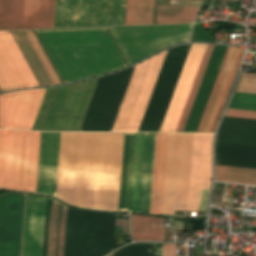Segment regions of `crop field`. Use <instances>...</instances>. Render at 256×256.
I'll use <instances>...</instances> for the list:
<instances>
[{"label":"crop field","mask_w":256,"mask_h":256,"mask_svg":"<svg viewBox=\"0 0 256 256\" xmlns=\"http://www.w3.org/2000/svg\"><path fill=\"white\" fill-rule=\"evenodd\" d=\"M125 0H56L54 28L123 25Z\"/></svg>","instance_id":"crop-field-7"},{"label":"crop field","mask_w":256,"mask_h":256,"mask_svg":"<svg viewBox=\"0 0 256 256\" xmlns=\"http://www.w3.org/2000/svg\"><path fill=\"white\" fill-rule=\"evenodd\" d=\"M213 134H168L162 216L176 210L199 212L204 180L211 181ZM205 181L200 212L206 213L210 183Z\"/></svg>","instance_id":"crop-field-3"},{"label":"crop field","mask_w":256,"mask_h":256,"mask_svg":"<svg viewBox=\"0 0 256 256\" xmlns=\"http://www.w3.org/2000/svg\"><path fill=\"white\" fill-rule=\"evenodd\" d=\"M216 141L256 145V120L224 117Z\"/></svg>","instance_id":"crop-field-18"},{"label":"crop field","mask_w":256,"mask_h":256,"mask_svg":"<svg viewBox=\"0 0 256 256\" xmlns=\"http://www.w3.org/2000/svg\"><path fill=\"white\" fill-rule=\"evenodd\" d=\"M155 134H145L139 212L149 213Z\"/></svg>","instance_id":"crop-field-20"},{"label":"crop field","mask_w":256,"mask_h":256,"mask_svg":"<svg viewBox=\"0 0 256 256\" xmlns=\"http://www.w3.org/2000/svg\"><path fill=\"white\" fill-rule=\"evenodd\" d=\"M216 181L256 185V170L216 166Z\"/></svg>","instance_id":"crop-field-26"},{"label":"crop field","mask_w":256,"mask_h":256,"mask_svg":"<svg viewBox=\"0 0 256 256\" xmlns=\"http://www.w3.org/2000/svg\"><path fill=\"white\" fill-rule=\"evenodd\" d=\"M229 108L256 111V95L236 93Z\"/></svg>","instance_id":"crop-field-28"},{"label":"crop field","mask_w":256,"mask_h":256,"mask_svg":"<svg viewBox=\"0 0 256 256\" xmlns=\"http://www.w3.org/2000/svg\"><path fill=\"white\" fill-rule=\"evenodd\" d=\"M228 46L215 45L183 132H196ZM243 49L229 46L197 132H214Z\"/></svg>","instance_id":"crop-field-4"},{"label":"crop field","mask_w":256,"mask_h":256,"mask_svg":"<svg viewBox=\"0 0 256 256\" xmlns=\"http://www.w3.org/2000/svg\"><path fill=\"white\" fill-rule=\"evenodd\" d=\"M134 0H127L125 25H132Z\"/></svg>","instance_id":"crop-field-32"},{"label":"crop field","mask_w":256,"mask_h":256,"mask_svg":"<svg viewBox=\"0 0 256 256\" xmlns=\"http://www.w3.org/2000/svg\"><path fill=\"white\" fill-rule=\"evenodd\" d=\"M224 116L256 119V112L229 109Z\"/></svg>","instance_id":"crop-field-31"},{"label":"crop field","mask_w":256,"mask_h":256,"mask_svg":"<svg viewBox=\"0 0 256 256\" xmlns=\"http://www.w3.org/2000/svg\"><path fill=\"white\" fill-rule=\"evenodd\" d=\"M236 92L256 94V78L242 77Z\"/></svg>","instance_id":"crop-field-29"},{"label":"crop field","mask_w":256,"mask_h":256,"mask_svg":"<svg viewBox=\"0 0 256 256\" xmlns=\"http://www.w3.org/2000/svg\"><path fill=\"white\" fill-rule=\"evenodd\" d=\"M97 80L47 89L32 130L79 131Z\"/></svg>","instance_id":"crop-field-6"},{"label":"crop field","mask_w":256,"mask_h":256,"mask_svg":"<svg viewBox=\"0 0 256 256\" xmlns=\"http://www.w3.org/2000/svg\"><path fill=\"white\" fill-rule=\"evenodd\" d=\"M22 0H0V30L19 29ZM55 0H23L20 29L53 28Z\"/></svg>","instance_id":"crop-field-10"},{"label":"crop field","mask_w":256,"mask_h":256,"mask_svg":"<svg viewBox=\"0 0 256 256\" xmlns=\"http://www.w3.org/2000/svg\"><path fill=\"white\" fill-rule=\"evenodd\" d=\"M161 256H176V244L162 245Z\"/></svg>","instance_id":"crop-field-33"},{"label":"crop field","mask_w":256,"mask_h":256,"mask_svg":"<svg viewBox=\"0 0 256 256\" xmlns=\"http://www.w3.org/2000/svg\"><path fill=\"white\" fill-rule=\"evenodd\" d=\"M160 253H161V243H157L156 256H160Z\"/></svg>","instance_id":"crop-field-35"},{"label":"crop field","mask_w":256,"mask_h":256,"mask_svg":"<svg viewBox=\"0 0 256 256\" xmlns=\"http://www.w3.org/2000/svg\"><path fill=\"white\" fill-rule=\"evenodd\" d=\"M46 89L0 95V127L31 130Z\"/></svg>","instance_id":"crop-field-11"},{"label":"crop field","mask_w":256,"mask_h":256,"mask_svg":"<svg viewBox=\"0 0 256 256\" xmlns=\"http://www.w3.org/2000/svg\"><path fill=\"white\" fill-rule=\"evenodd\" d=\"M199 6H157L156 24L193 22Z\"/></svg>","instance_id":"crop-field-24"},{"label":"crop field","mask_w":256,"mask_h":256,"mask_svg":"<svg viewBox=\"0 0 256 256\" xmlns=\"http://www.w3.org/2000/svg\"><path fill=\"white\" fill-rule=\"evenodd\" d=\"M46 198L27 195L22 256H42Z\"/></svg>","instance_id":"crop-field-16"},{"label":"crop field","mask_w":256,"mask_h":256,"mask_svg":"<svg viewBox=\"0 0 256 256\" xmlns=\"http://www.w3.org/2000/svg\"><path fill=\"white\" fill-rule=\"evenodd\" d=\"M40 132L0 130V188L35 192Z\"/></svg>","instance_id":"crop-field-5"},{"label":"crop field","mask_w":256,"mask_h":256,"mask_svg":"<svg viewBox=\"0 0 256 256\" xmlns=\"http://www.w3.org/2000/svg\"><path fill=\"white\" fill-rule=\"evenodd\" d=\"M166 51L136 65L112 131L138 130Z\"/></svg>","instance_id":"crop-field-8"},{"label":"crop field","mask_w":256,"mask_h":256,"mask_svg":"<svg viewBox=\"0 0 256 256\" xmlns=\"http://www.w3.org/2000/svg\"><path fill=\"white\" fill-rule=\"evenodd\" d=\"M60 133L41 132L37 192L55 196Z\"/></svg>","instance_id":"crop-field-17"},{"label":"crop field","mask_w":256,"mask_h":256,"mask_svg":"<svg viewBox=\"0 0 256 256\" xmlns=\"http://www.w3.org/2000/svg\"><path fill=\"white\" fill-rule=\"evenodd\" d=\"M38 86L9 31H0V89Z\"/></svg>","instance_id":"crop-field-12"},{"label":"crop field","mask_w":256,"mask_h":256,"mask_svg":"<svg viewBox=\"0 0 256 256\" xmlns=\"http://www.w3.org/2000/svg\"><path fill=\"white\" fill-rule=\"evenodd\" d=\"M24 195L0 197V256H19Z\"/></svg>","instance_id":"crop-field-13"},{"label":"crop field","mask_w":256,"mask_h":256,"mask_svg":"<svg viewBox=\"0 0 256 256\" xmlns=\"http://www.w3.org/2000/svg\"><path fill=\"white\" fill-rule=\"evenodd\" d=\"M167 134H156L150 213L161 215Z\"/></svg>","instance_id":"crop-field-19"},{"label":"crop field","mask_w":256,"mask_h":256,"mask_svg":"<svg viewBox=\"0 0 256 256\" xmlns=\"http://www.w3.org/2000/svg\"><path fill=\"white\" fill-rule=\"evenodd\" d=\"M116 225L122 226V219H117ZM124 233H129L128 227H123Z\"/></svg>","instance_id":"crop-field-34"},{"label":"crop field","mask_w":256,"mask_h":256,"mask_svg":"<svg viewBox=\"0 0 256 256\" xmlns=\"http://www.w3.org/2000/svg\"><path fill=\"white\" fill-rule=\"evenodd\" d=\"M242 76H247V77H256V75H254V74H246V73H242Z\"/></svg>","instance_id":"crop-field-36"},{"label":"crop field","mask_w":256,"mask_h":256,"mask_svg":"<svg viewBox=\"0 0 256 256\" xmlns=\"http://www.w3.org/2000/svg\"><path fill=\"white\" fill-rule=\"evenodd\" d=\"M154 0H135L133 25L152 24Z\"/></svg>","instance_id":"crop-field-27"},{"label":"crop field","mask_w":256,"mask_h":256,"mask_svg":"<svg viewBox=\"0 0 256 256\" xmlns=\"http://www.w3.org/2000/svg\"><path fill=\"white\" fill-rule=\"evenodd\" d=\"M133 240L165 241L163 218L131 214Z\"/></svg>","instance_id":"crop-field-21"},{"label":"crop field","mask_w":256,"mask_h":256,"mask_svg":"<svg viewBox=\"0 0 256 256\" xmlns=\"http://www.w3.org/2000/svg\"><path fill=\"white\" fill-rule=\"evenodd\" d=\"M134 133H125L119 210L128 211Z\"/></svg>","instance_id":"crop-field-23"},{"label":"crop field","mask_w":256,"mask_h":256,"mask_svg":"<svg viewBox=\"0 0 256 256\" xmlns=\"http://www.w3.org/2000/svg\"><path fill=\"white\" fill-rule=\"evenodd\" d=\"M214 45L208 44L175 132H182Z\"/></svg>","instance_id":"crop-field-25"},{"label":"crop field","mask_w":256,"mask_h":256,"mask_svg":"<svg viewBox=\"0 0 256 256\" xmlns=\"http://www.w3.org/2000/svg\"><path fill=\"white\" fill-rule=\"evenodd\" d=\"M144 134L135 133L129 211L138 212Z\"/></svg>","instance_id":"crop-field-22"},{"label":"crop field","mask_w":256,"mask_h":256,"mask_svg":"<svg viewBox=\"0 0 256 256\" xmlns=\"http://www.w3.org/2000/svg\"><path fill=\"white\" fill-rule=\"evenodd\" d=\"M134 67L98 80L80 131L112 130Z\"/></svg>","instance_id":"crop-field-9"},{"label":"crop field","mask_w":256,"mask_h":256,"mask_svg":"<svg viewBox=\"0 0 256 256\" xmlns=\"http://www.w3.org/2000/svg\"><path fill=\"white\" fill-rule=\"evenodd\" d=\"M207 44H192L160 132H174Z\"/></svg>","instance_id":"crop-field-14"},{"label":"crop field","mask_w":256,"mask_h":256,"mask_svg":"<svg viewBox=\"0 0 256 256\" xmlns=\"http://www.w3.org/2000/svg\"><path fill=\"white\" fill-rule=\"evenodd\" d=\"M10 33L15 40L18 48L20 49L23 57L25 58L29 68L31 69L34 77L36 78L39 86H51L53 85V83L54 85L60 84V79L58 78L55 70L53 69L42 47L40 46L33 31H26V33L30 41L32 42L36 52L38 53L42 63L44 64L48 74L50 75L53 83L49 75L47 74L43 64L41 63L37 53L35 52L31 42L29 41L25 31H10Z\"/></svg>","instance_id":"crop-field-15"},{"label":"crop field","mask_w":256,"mask_h":256,"mask_svg":"<svg viewBox=\"0 0 256 256\" xmlns=\"http://www.w3.org/2000/svg\"><path fill=\"white\" fill-rule=\"evenodd\" d=\"M124 133H61L56 197L118 210Z\"/></svg>","instance_id":"crop-field-2"},{"label":"crop field","mask_w":256,"mask_h":256,"mask_svg":"<svg viewBox=\"0 0 256 256\" xmlns=\"http://www.w3.org/2000/svg\"><path fill=\"white\" fill-rule=\"evenodd\" d=\"M192 24L109 28L128 66L189 40ZM64 83L125 68L105 28L36 30Z\"/></svg>","instance_id":"crop-field-1"},{"label":"crop field","mask_w":256,"mask_h":256,"mask_svg":"<svg viewBox=\"0 0 256 256\" xmlns=\"http://www.w3.org/2000/svg\"><path fill=\"white\" fill-rule=\"evenodd\" d=\"M191 41H205L217 43L215 40L211 38V33L207 32V27L194 28Z\"/></svg>","instance_id":"crop-field-30"}]
</instances>
